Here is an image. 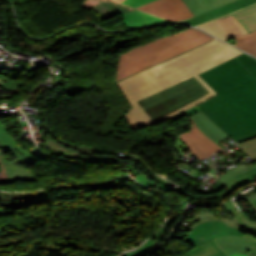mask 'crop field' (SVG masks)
<instances>
[{"mask_svg":"<svg viewBox=\"0 0 256 256\" xmlns=\"http://www.w3.org/2000/svg\"><path fill=\"white\" fill-rule=\"evenodd\" d=\"M242 52L214 39L183 55L117 82L131 104V130L159 124L217 93L199 73Z\"/></svg>","mask_w":256,"mask_h":256,"instance_id":"obj_1","label":"crop field"},{"mask_svg":"<svg viewBox=\"0 0 256 256\" xmlns=\"http://www.w3.org/2000/svg\"><path fill=\"white\" fill-rule=\"evenodd\" d=\"M200 76L219 95L197 107L238 142L256 137V60L243 54Z\"/></svg>","mask_w":256,"mask_h":256,"instance_id":"obj_2","label":"crop field"},{"mask_svg":"<svg viewBox=\"0 0 256 256\" xmlns=\"http://www.w3.org/2000/svg\"><path fill=\"white\" fill-rule=\"evenodd\" d=\"M214 38L194 29L157 39L120 55L116 81L179 55Z\"/></svg>","mask_w":256,"mask_h":256,"instance_id":"obj_3","label":"crop field"},{"mask_svg":"<svg viewBox=\"0 0 256 256\" xmlns=\"http://www.w3.org/2000/svg\"><path fill=\"white\" fill-rule=\"evenodd\" d=\"M245 233L236 230L233 227L227 226L225 223L220 221H208L197 225L185 241L195 247L222 235H240L243 236Z\"/></svg>","mask_w":256,"mask_h":256,"instance_id":"obj_4","label":"crop field"},{"mask_svg":"<svg viewBox=\"0 0 256 256\" xmlns=\"http://www.w3.org/2000/svg\"><path fill=\"white\" fill-rule=\"evenodd\" d=\"M137 9L171 21L184 20L194 16L182 0H155Z\"/></svg>","mask_w":256,"mask_h":256,"instance_id":"obj_5","label":"crop field"},{"mask_svg":"<svg viewBox=\"0 0 256 256\" xmlns=\"http://www.w3.org/2000/svg\"><path fill=\"white\" fill-rule=\"evenodd\" d=\"M189 119L192 122V130L179 136L199 159L209 157L212 153L223 149L202 134L194 125L191 117Z\"/></svg>","mask_w":256,"mask_h":256,"instance_id":"obj_6","label":"crop field"},{"mask_svg":"<svg viewBox=\"0 0 256 256\" xmlns=\"http://www.w3.org/2000/svg\"><path fill=\"white\" fill-rule=\"evenodd\" d=\"M256 164L247 166L246 163L233 167L228 170L221 178L218 179L221 183L230 189L225 191L221 196H227L232 190L243 185L256 183Z\"/></svg>","mask_w":256,"mask_h":256,"instance_id":"obj_7","label":"crop field"},{"mask_svg":"<svg viewBox=\"0 0 256 256\" xmlns=\"http://www.w3.org/2000/svg\"><path fill=\"white\" fill-rule=\"evenodd\" d=\"M218 245L227 253L247 252L249 256H256V237L245 234L240 236H223L216 238Z\"/></svg>","mask_w":256,"mask_h":256,"instance_id":"obj_8","label":"crop field"},{"mask_svg":"<svg viewBox=\"0 0 256 256\" xmlns=\"http://www.w3.org/2000/svg\"><path fill=\"white\" fill-rule=\"evenodd\" d=\"M256 3V0H237L232 3L226 4L224 6L218 7L214 10H211L209 12H206L202 15H199L197 17L188 19L186 21H182L181 23H187L191 25H198L205 21H208L210 19L216 18L218 16L227 14L229 12L235 11L237 9L243 8L245 6L251 5Z\"/></svg>","mask_w":256,"mask_h":256,"instance_id":"obj_9","label":"crop field"},{"mask_svg":"<svg viewBox=\"0 0 256 256\" xmlns=\"http://www.w3.org/2000/svg\"><path fill=\"white\" fill-rule=\"evenodd\" d=\"M192 117L200 131L203 132L207 137H209L214 142L218 143L224 140L225 138L229 137L222 130L216 127L211 121H209L202 112Z\"/></svg>","mask_w":256,"mask_h":256,"instance_id":"obj_10","label":"crop field"},{"mask_svg":"<svg viewBox=\"0 0 256 256\" xmlns=\"http://www.w3.org/2000/svg\"><path fill=\"white\" fill-rule=\"evenodd\" d=\"M121 16H122V19L124 20L121 23L128 27L150 25V24H156V23H162V22H170L164 19H160L151 15H148L139 10L129 12Z\"/></svg>","mask_w":256,"mask_h":256,"instance_id":"obj_11","label":"crop field"},{"mask_svg":"<svg viewBox=\"0 0 256 256\" xmlns=\"http://www.w3.org/2000/svg\"><path fill=\"white\" fill-rule=\"evenodd\" d=\"M214 21L230 39L247 33L231 14L215 19Z\"/></svg>","mask_w":256,"mask_h":256,"instance_id":"obj_12","label":"crop field"},{"mask_svg":"<svg viewBox=\"0 0 256 256\" xmlns=\"http://www.w3.org/2000/svg\"><path fill=\"white\" fill-rule=\"evenodd\" d=\"M232 15L248 33L256 31V5L236 11Z\"/></svg>","mask_w":256,"mask_h":256,"instance_id":"obj_13","label":"crop field"},{"mask_svg":"<svg viewBox=\"0 0 256 256\" xmlns=\"http://www.w3.org/2000/svg\"><path fill=\"white\" fill-rule=\"evenodd\" d=\"M194 15H199L213 8L234 0H183Z\"/></svg>","mask_w":256,"mask_h":256,"instance_id":"obj_14","label":"crop field"},{"mask_svg":"<svg viewBox=\"0 0 256 256\" xmlns=\"http://www.w3.org/2000/svg\"><path fill=\"white\" fill-rule=\"evenodd\" d=\"M188 256H227L215 243V239L186 253Z\"/></svg>","mask_w":256,"mask_h":256,"instance_id":"obj_15","label":"crop field"},{"mask_svg":"<svg viewBox=\"0 0 256 256\" xmlns=\"http://www.w3.org/2000/svg\"><path fill=\"white\" fill-rule=\"evenodd\" d=\"M207 220H225L223 217L216 218L212 214H210V209H200L189 221V223L185 226L182 235H188L192 228L196 226L198 223L205 222Z\"/></svg>","mask_w":256,"mask_h":256,"instance_id":"obj_16","label":"crop field"},{"mask_svg":"<svg viewBox=\"0 0 256 256\" xmlns=\"http://www.w3.org/2000/svg\"><path fill=\"white\" fill-rule=\"evenodd\" d=\"M236 46L252 53L256 56V32L246 34L235 39Z\"/></svg>","mask_w":256,"mask_h":256,"instance_id":"obj_17","label":"crop field"},{"mask_svg":"<svg viewBox=\"0 0 256 256\" xmlns=\"http://www.w3.org/2000/svg\"><path fill=\"white\" fill-rule=\"evenodd\" d=\"M44 126L45 128L47 129V131L54 137L56 138L58 141H60L61 143L69 146V147H72L74 149H78L81 151L82 154L84 155H93L95 153H100L101 152V148H96V147H88V146H79V145H74L66 140H62L60 138H58L57 136L54 135V133L51 131L50 129V126L48 124V120H45L44 121Z\"/></svg>","mask_w":256,"mask_h":256,"instance_id":"obj_18","label":"crop field"},{"mask_svg":"<svg viewBox=\"0 0 256 256\" xmlns=\"http://www.w3.org/2000/svg\"><path fill=\"white\" fill-rule=\"evenodd\" d=\"M223 206L236 217L237 221L243 223L247 227L252 228L256 231V222L250 220L243 212H238V210L233 206L232 202L223 204Z\"/></svg>","mask_w":256,"mask_h":256,"instance_id":"obj_19","label":"crop field"},{"mask_svg":"<svg viewBox=\"0 0 256 256\" xmlns=\"http://www.w3.org/2000/svg\"><path fill=\"white\" fill-rule=\"evenodd\" d=\"M135 163H136V161H134L133 164L127 166L128 169L130 170L131 174L134 176V178L137 181H139L141 184H143L149 188H154L156 183L150 181L149 179H146L144 174H142L137 169H135V166H134Z\"/></svg>","mask_w":256,"mask_h":256,"instance_id":"obj_20","label":"crop field"},{"mask_svg":"<svg viewBox=\"0 0 256 256\" xmlns=\"http://www.w3.org/2000/svg\"><path fill=\"white\" fill-rule=\"evenodd\" d=\"M219 26V25H218ZM217 26V24L212 20L210 22H207L205 24H202L198 27L203 28L219 37H221L224 40H229V38L226 36V34Z\"/></svg>","mask_w":256,"mask_h":256,"instance_id":"obj_21","label":"crop field"},{"mask_svg":"<svg viewBox=\"0 0 256 256\" xmlns=\"http://www.w3.org/2000/svg\"><path fill=\"white\" fill-rule=\"evenodd\" d=\"M239 146L252 160H256V140L239 144Z\"/></svg>","mask_w":256,"mask_h":256,"instance_id":"obj_22","label":"crop field"},{"mask_svg":"<svg viewBox=\"0 0 256 256\" xmlns=\"http://www.w3.org/2000/svg\"><path fill=\"white\" fill-rule=\"evenodd\" d=\"M177 215L178 214H173L170 217H168L165 224L162 226V228L160 230H158L153 235V237L161 238V239L164 238L166 236V233H167V227L170 226L176 220Z\"/></svg>","mask_w":256,"mask_h":256,"instance_id":"obj_23","label":"crop field"},{"mask_svg":"<svg viewBox=\"0 0 256 256\" xmlns=\"http://www.w3.org/2000/svg\"><path fill=\"white\" fill-rule=\"evenodd\" d=\"M157 243L155 241L152 240H147L142 246L138 247L137 249L131 251V252H127L124 253L120 256H139L141 255L151 244Z\"/></svg>","mask_w":256,"mask_h":256,"instance_id":"obj_24","label":"crop field"},{"mask_svg":"<svg viewBox=\"0 0 256 256\" xmlns=\"http://www.w3.org/2000/svg\"><path fill=\"white\" fill-rule=\"evenodd\" d=\"M239 199H246L249 204L253 207V211L256 214V208L253 205V201L256 200V188L249 190V192L245 193L243 196H241Z\"/></svg>","mask_w":256,"mask_h":256,"instance_id":"obj_25","label":"crop field"},{"mask_svg":"<svg viewBox=\"0 0 256 256\" xmlns=\"http://www.w3.org/2000/svg\"><path fill=\"white\" fill-rule=\"evenodd\" d=\"M150 1L152 0H124L122 4L130 5L136 8Z\"/></svg>","mask_w":256,"mask_h":256,"instance_id":"obj_26","label":"crop field"},{"mask_svg":"<svg viewBox=\"0 0 256 256\" xmlns=\"http://www.w3.org/2000/svg\"><path fill=\"white\" fill-rule=\"evenodd\" d=\"M223 222H225L229 226H233V227L237 228L240 231H244L245 229H247V227H245L244 225L238 223L235 218L234 219H228L227 218Z\"/></svg>","mask_w":256,"mask_h":256,"instance_id":"obj_27","label":"crop field"},{"mask_svg":"<svg viewBox=\"0 0 256 256\" xmlns=\"http://www.w3.org/2000/svg\"><path fill=\"white\" fill-rule=\"evenodd\" d=\"M198 112H200V110L195 107V108H193V109H191V110H189V111L184 112L183 114H184L185 116H187V117H190V116H192V115H194V114H196V113H198Z\"/></svg>","mask_w":256,"mask_h":256,"instance_id":"obj_28","label":"crop field"},{"mask_svg":"<svg viewBox=\"0 0 256 256\" xmlns=\"http://www.w3.org/2000/svg\"><path fill=\"white\" fill-rule=\"evenodd\" d=\"M244 232L247 233V234L256 236V232H254L253 230H251V229H249V228H248L247 230H245Z\"/></svg>","mask_w":256,"mask_h":256,"instance_id":"obj_29","label":"crop field"},{"mask_svg":"<svg viewBox=\"0 0 256 256\" xmlns=\"http://www.w3.org/2000/svg\"><path fill=\"white\" fill-rule=\"evenodd\" d=\"M229 256H248L247 253H234V254H230Z\"/></svg>","mask_w":256,"mask_h":256,"instance_id":"obj_30","label":"crop field"},{"mask_svg":"<svg viewBox=\"0 0 256 256\" xmlns=\"http://www.w3.org/2000/svg\"><path fill=\"white\" fill-rule=\"evenodd\" d=\"M114 1H117V2L121 3L123 0H114Z\"/></svg>","mask_w":256,"mask_h":256,"instance_id":"obj_31","label":"crop field"},{"mask_svg":"<svg viewBox=\"0 0 256 256\" xmlns=\"http://www.w3.org/2000/svg\"><path fill=\"white\" fill-rule=\"evenodd\" d=\"M255 204H256V202H255Z\"/></svg>","mask_w":256,"mask_h":256,"instance_id":"obj_32","label":"crop field"},{"mask_svg":"<svg viewBox=\"0 0 256 256\" xmlns=\"http://www.w3.org/2000/svg\"><path fill=\"white\" fill-rule=\"evenodd\" d=\"M1 169V168H0Z\"/></svg>","mask_w":256,"mask_h":256,"instance_id":"obj_33","label":"crop field"}]
</instances>
